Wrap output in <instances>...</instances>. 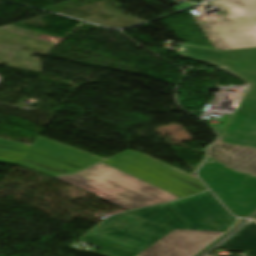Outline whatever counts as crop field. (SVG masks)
I'll use <instances>...</instances> for the list:
<instances>
[{"instance_id": "6", "label": "crop field", "mask_w": 256, "mask_h": 256, "mask_svg": "<svg viewBox=\"0 0 256 256\" xmlns=\"http://www.w3.org/2000/svg\"><path fill=\"white\" fill-rule=\"evenodd\" d=\"M223 232L174 230L138 256H191Z\"/></svg>"}, {"instance_id": "3", "label": "crop field", "mask_w": 256, "mask_h": 256, "mask_svg": "<svg viewBox=\"0 0 256 256\" xmlns=\"http://www.w3.org/2000/svg\"><path fill=\"white\" fill-rule=\"evenodd\" d=\"M226 16L214 22L197 24L213 49L256 47V0H216Z\"/></svg>"}, {"instance_id": "1", "label": "crop field", "mask_w": 256, "mask_h": 256, "mask_svg": "<svg viewBox=\"0 0 256 256\" xmlns=\"http://www.w3.org/2000/svg\"><path fill=\"white\" fill-rule=\"evenodd\" d=\"M227 212L205 191L112 216L82 239L99 246L94 253L102 256H134L174 228L225 231L235 223Z\"/></svg>"}, {"instance_id": "5", "label": "crop field", "mask_w": 256, "mask_h": 256, "mask_svg": "<svg viewBox=\"0 0 256 256\" xmlns=\"http://www.w3.org/2000/svg\"><path fill=\"white\" fill-rule=\"evenodd\" d=\"M180 55L222 68L251 83L245 97L256 99V48L216 51L188 45Z\"/></svg>"}, {"instance_id": "11", "label": "crop field", "mask_w": 256, "mask_h": 256, "mask_svg": "<svg viewBox=\"0 0 256 256\" xmlns=\"http://www.w3.org/2000/svg\"><path fill=\"white\" fill-rule=\"evenodd\" d=\"M204 1H207V0H204Z\"/></svg>"}, {"instance_id": "4", "label": "crop field", "mask_w": 256, "mask_h": 256, "mask_svg": "<svg viewBox=\"0 0 256 256\" xmlns=\"http://www.w3.org/2000/svg\"><path fill=\"white\" fill-rule=\"evenodd\" d=\"M198 175L235 216L246 217L256 209V177L230 170L209 157Z\"/></svg>"}, {"instance_id": "7", "label": "crop field", "mask_w": 256, "mask_h": 256, "mask_svg": "<svg viewBox=\"0 0 256 256\" xmlns=\"http://www.w3.org/2000/svg\"><path fill=\"white\" fill-rule=\"evenodd\" d=\"M214 129L222 142L256 148V100L243 98L228 126Z\"/></svg>"}, {"instance_id": "8", "label": "crop field", "mask_w": 256, "mask_h": 256, "mask_svg": "<svg viewBox=\"0 0 256 256\" xmlns=\"http://www.w3.org/2000/svg\"><path fill=\"white\" fill-rule=\"evenodd\" d=\"M208 156L237 171L256 173V150L215 143L209 148Z\"/></svg>"}, {"instance_id": "9", "label": "crop field", "mask_w": 256, "mask_h": 256, "mask_svg": "<svg viewBox=\"0 0 256 256\" xmlns=\"http://www.w3.org/2000/svg\"><path fill=\"white\" fill-rule=\"evenodd\" d=\"M236 236L230 238L219 248L227 250L251 251L256 256V222H253L241 229Z\"/></svg>"}, {"instance_id": "2", "label": "crop field", "mask_w": 256, "mask_h": 256, "mask_svg": "<svg viewBox=\"0 0 256 256\" xmlns=\"http://www.w3.org/2000/svg\"><path fill=\"white\" fill-rule=\"evenodd\" d=\"M57 179L86 190L126 210L175 200L178 197L99 163L76 175Z\"/></svg>"}, {"instance_id": "10", "label": "crop field", "mask_w": 256, "mask_h": 256, "mask_svg": "<svg viewBox=\"0 0 256 256\" xmlns=\"http://www.w3.org/2000/svg\"><path fill=\"white\" fill-rule=\"evenodd\" d=\"M254 218L256 219V216Z\"/></svg>"}]
</instances>
